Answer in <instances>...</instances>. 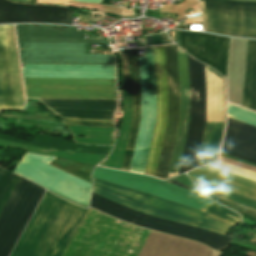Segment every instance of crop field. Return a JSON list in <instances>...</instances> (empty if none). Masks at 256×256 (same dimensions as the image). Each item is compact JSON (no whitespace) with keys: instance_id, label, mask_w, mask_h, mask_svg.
Here are the masks:
<instances>
[{"instance_id":"10","label":"crop field","mask_w":256,"mask_h":256,"mask_svg":"<svg viewBox=\"0 0 256 256\" xmlns=\"http://www.w3.org/2000/svg\"><path fill=\"white\" fill-rule=\"evenodd\" d=\"M195 61L188 56L190 123L178 174L195 167L205 124V85L203 65Z\"/></svg>"},{"instance_id":"30","label":"crop field","mask_w":256,"mask_h":256,"mask_svg":"<svg viewBox=\"0 0 256 256\" xmlns=\"http://www.w3.org/2000/svg\"><path fill=\"white\" fill-rule=\"evenodd\" d=\"M69 0H37L39 3H61Z\"/></svg>"},{"instance_id":"31","label":"crop field","mask_w":256,"mask_h":256,"mask_svg":"<svg viewBox=\"0 0 256 256\" xmlns=\"http://www.w3.org/2000/svg\"><path fill=\"white\" fill-rule=\"evenodd\" d=\"M72 12H73V10L69 9L67 24H70V23H71Z\"/></svg>"},{"instance_id":"13","label":"crop field","mask_w":256,"mask_h":256,"mask_svg":"<svg viewBox=\"0 0 256 256\" xmlns=\"http://www.w3.org/2000/svg\"><path fill=\"white\" fill-rule=\"evenodd\" d=\"M5 27H0V45L7 44ZM8 45L0 46V90L3 107H23L22 92L19 78V70L16 56V48L12 28H6ZM0 97L1 109L3 108Z\"/></svg>"},{"instance_id":"18","label":"crop field","mask_w":256,"mask_h":256,"mask_svg":"<svg viewBox=\"0 0 256 256\" xmlns=\"http://www.w3.org/2000/svg\"><path fill=\"white\" fill-rule=\"evenodd\" d=\"M189 177L256 199V182L204 166L187 174Z\"/></svg>"},{"instance_id":"24","label":"crop field","mask_w":256,"mask_h":256,"mask_svg":"<svg viewBox=\"0 0 256 256\" xmlns=\"http://www.w3.org/2000/svg\"><path fill=\"white\" fill-rule=\"evenodd\" d=\"M221 155L256 165V157L222 146Z\"/></svg>"},{"instance_id":"25","label":"crop field","mask_w":256,"mask_h":256,"mask_svg":"<svg viewBox=\"0 0 256 256\" xmlns=\"http://www.w3.org/2000/svg\"><path fill=\"white\" fill-rule=\"evenodd\" d=\"M198 189H199V188H198ZM199 190H200L201 193H203V194H205V195H207V196H209V197H211V198H213V199H215V200H217V201H219V202H222V203H225V204H227V205L233 206V207H235V208H237V209H239V210H241V211H243V212H245V213H247V214H249V215H251V216H253V217L256 218V210L246 208V207H244V206H241V205H239V204H236V203H234V202H231V201H229V200H227V199H224V198H222V197H219V196H217V195H215V194L205 192V191H203V190H201V189H199Z\"/></svg>"},{"instance_id":"27","label":"crop field","mask_w":256,"mask_h":256,"mask_svg":"<svg viewBox=\"0 0 256 256\" xmlns=\"http://www.w3.org/2000/svg\"><path fill=\"white\" fill-rule=\"evenodd\" d=\"M90 15H91V11H86V10L80 9L78 22L87 23V20L90 19Z\"/></svg>"},{"instance_id":"4","label":"crop field","mask_w":256,"mask_h":256,"mask_svg":"<svg viewBox=\"0 0 256 256\" xmlns=\"http://www.w3.org/2000/svg\"><path fill=\"white\" fill-rule=\"evenodd\" d=\"M149 233L89 208L63 256H137Z\"/></svg>"},{"instance_id":"3","label":"crop field","mask_w":256,"mask_h":256,"mask_svg":"<svg viewBox=\"0 0 256 256\" xmlns=\"http://www.w3.org/2000/svg\"><path fill=\"white\" fill-rule=\"evenodd\" d=\"M164 52L168 86V122ZM164 52L163 47L154 48L157 85V121L145 172V174L147 175H155L160 148L167 122L162 149L155 175V177L161 179H166L167 176L173 144L179 122V85L176 47L173 45L166 46L164 47Z\"/></svg>"},{"instance_id":"6","label":"crop field","mask_w":256,"mask_h":256,"mask_svg":"<svg viewBox=\"0 0 256 256\" xmlns=\"http://www.w3.org/2000/svg\"><path fill=\"white\" fill-rule=\"evenodd\" d=\"M90 206L115 218L160 232L201 242L223 252L231 238L213 232L157 219L137 211L120 206L92 193Z\"/></svg>"},{"instance_id":"23","label":"crop field","mask_w":256,"mask_h":256,"mask_svg":"<svg viewBox=\"0 0 256 256\" xmlns=\"http://www.w3.org/2000/svg\"><path fill=\"white\" fill-rule=\"evenodd\" d=\"M202 212L209 213L231 226L240 219V216L215 204L214 202L206 207L204 210H202Z\"/></svg>"},{"instance_id":"20","label":"crop field","mask_w":256,"mask_h":256,"mask_svg":"<svg viewBox=\"0 0 256 256\" xmlns=\"http://www.w3.org/2000/svg\"><path fill=\"white\" fill-rule=\"evenodd\" d=\"M223 142L256 153V127L228 118Z\"/></svg>"},{"instance_id":"11","label":"crop field","mask_w":256,"mask_h":256,"mask_svg":"<svg viewBox=\"0 0 256 256\" xmlns=\"http://www.w3.org/2000/svg\"><path fill=\"white\" fill-rule=\"evenodd\" d=\"M93 177L148 192L199 211L212 203L202 196L150 177L101 168L94 170Z\"/></svg>"},{"instance_id":"21","label":"crop field","mask_w":256,"mask_h":256,"mask_svg":"<svg viewBox=\"0 0 256 256\" xmlns=\"http://www.w3.org/2000/svg\"><path fill=\"white\" fill-rule=\"evenodd\" d=\"M242 106L256 111V41L248 40Z\"/></svg>"},{"instance_id":"5","label":"crop field","mask_w":256,"mask_h":256,"mask_svg":"<svg viewBox=\"0 0 256 256\" xmlns=\"http://www.w3.org/2000/svg\"><path fill=\"white\" fill-rule=\"evenodd\" d=\"M94 192L139 211L198 226L225 235L231 228L192 208L171 203L147 194L94 180Z\"/></svg>"},{"instance_id":"19","label":"crop field","mask_w":256,"mask_h":256,"mask_svg":"<svg viewBox=\"0 0 256 256\" xmlns=\"http://www.w3.org/2000/svg\"><path fill=\"white\" fill-rule=\"evenodd\" d=\"M131 86H132V120L121 169H129L132 152L140 121V85L137 49L129 51Z\"/></svg>"},{"instance_id":"12","label":"crop field","mask_w":256,"mask_h":256,"mask_svg":"<svg viewBox=\"0 0 256 256\" xmlns=\"http://www.w3.org/2000/svg\"><path fill=\"white\" fill-rule=\"evenodd\" d=\"M205 66V65H204ZM206 68V67H205ZM208 69V68H207ZM205 69L206 80V121L222 122V80L212 70ZM206 122L197 166L213 161L217 157L224 125V84H223V123Z\"/></svg>"},{"instance_id":"17","label":"crop field","mask_w":256,"mask_h":256,"mask_svg":"<svg viewBox=\"0 0 256 256\" xmlns=\"http://www.w3.org/2000/svg\"><path fill=\"white\" fill-rule=\"evenodd\" d=\"M177 55L180 84V122L178 126L168 177L176 175L178 172L187 127L189 123V82L187 54L177 49Z\"/></svg>"},{"instance_id":"1","label":"crop field","mask_w":256,"mask_h":256,"mask_svg":"<svg viewBox=\"0 0 256 256\" xmlns=\"http://www.w3.org/2000/svg\"><path fill=\"white\" fill-rule=\"evenodd\" d=\"M86 212L47 191L11 256H62Z\"/></svg>"},{"instance_id":"9","label":"crop field","mask_w":256,"mask_h":256,"mask_svg":"<svg viewBox=\"0 0 256 256\" xmlns=\"http://www.w3.org/2000/svg\"><path fill=\"white\" fill-rule=\"evenodd\" d=\"M27 97L116 99L115 80L23 78Z\"/></svg>"},{"instance_id":"29","label":"crop field","mask_w":256,"mask_h":256,"mask_svg":"<svg viewBox=\"0 0 256 256\" xmlns=\"http://www.w3.org/2000/svg\"><path fill=\"white\" fill-rule=\"evenodd\" d=\"M187 24H198L201 23V18L199 17H194V18H189L186 19Z\"/></svg>"},{"instance_id":"16","label":"crop field","mask_w":256,"mask_h":256,"mask_svg":"<svg viewBox=\"0 0 256 256\" xmlns=\"http://www.w3.org/2000/svg\"><path fill=\"white\" fill-rule=\"evenodd\" d=\"M60 117L111 119L116 100L39 99Z\"/></svg>"},{"instance_id":"2","label":"crop field","mask_w":256,"mask_h":256,"mask_svg":"<svg viewBox=\"0 0 256 256\" xmlns=\"http://www.w3.org/2000/svg\"><path fill=\"white\" fill-rule=\"evenodd\" d=\"M21 62L115 64L113 55L86 54V43L76 28L51 25H17Z\"/></svg>"},{"instance_id":"34","label":"crop field","mask_w":256,"mask_h":256,"mask_svg":"<svg viewBox=\"0 0 256 256\" xmlns=\"http://www.w3.org/2000/svg\"><path fill=\"white\" fill-rule=\"evenodd\" d=\"M31 2H36V0H31Z\"/></svg>"},{"instance_id":"7","label":"crop field","mask_w":256,"mask_h":256,"mask_svg":"<svg viewBox=\"0 0 256 256\" xmlns=\"http://www.w3.org/2000/svg\"><path fill=\"white\" fill-rule=\"evenodd\" d=\"M200 4L205 31L256 38V3L201 0Z\"/></svg>"},{"instance_id":"22","label":"crop field","mask_w":256,"mask_h":256,"mask_svg":"<svg viewBox=\"0 0 256 256\" xmlns=\"http://www.w3.org/2000/svg\"><path fill=\"white\" fill-rule=\"evenodd\" d=\"M18 179L19 176L0 169V212Z\"/></svg>"},{"instance_id":"33","label":"crop field","mask_w":256,"mask_h":256,"mask_svg":"<svg viewBox=\"0 0 256 256\" xmlns=\"http://www.w3.org/2000/svg\"><path fill=\"white\" fill-rule=\"evenodd\" d=\"M102 3L110 5V0H102Z\"/></svg>"},{"instance_id":"28","label":"crop field","mask_w":256,"mask_h":256,"mask_svg":"<svg viewBox=\"0 0 256 256\" xmlns=\"http://www.w3.org/2000/svg\"><path fill=\"white\" fill-rule=\"evenodd\" d=\"M159 36H160V35H159ZM159 36H158V35L152 36L153 45L166 44V43H168V42H163L161 36H160V38H161V40H160Z\"/></svg>"},{"instance_id":"32","label":"crop field","mask_w":256,"mask_h":256,"mask_svg":"<svg viewBox=\"0 0 256 256\" xmlns=\"http://www.w3.org/2000/svg\"><path fill=\"white\" fill-rule=\"evenodd\" d=\"M147 46L152 45L151 36L146 37Z\"/></svg>"},{"instance_id":"15","label":"crop field","mask_w":256,"mask_h":256,"mask_svg":"<svg viewBox=\"0 0 256 256\" xmlns=\"http://www.w3.org/2000/svg\"><path fill=\"white\" fill-rule=\"evenodd\" d=\"M68 8L21 5L0 0V23L48 22L66 24Z\"/></svg>"},{"instance_id":"14","label":"crop field","mask_w":256,"mask_h":256,"mask_svg":"<svg viewBox=\"0 0 256 256\" xmlns=\"http://www.w3.org/2000/svg\"><path fill=\"white\" fill-rule=\"evenodd\" d=\"M181 46L225 76L228 38L180 31Z\"/></svg>"},{"instance_id":"8","label":"crop field","mask_w":256,"mask_h":256,"mask_svg":"<svg viewBox=\"0 0 256 256\" xmlns=\"http://www.w3.org/2000/svg\"><path fill=\"white\" fill-rule=\"evenodd\" d=\"M44 191L20 177L0 213V256L9 255Z\"/></svg>"},{"instance_id":"26","label":"crop field","mask_w":256,"mask_h":256,"mask_svg":"<svg viewBox=\"0 0 256 256\" xmlns=\"http://www.w3.org/2000/svg\"><path fill=\"white\" fill-rule=\"evenodd\" d=\"M65 124L114 127L111 121L78 120L61 118Z\"/></svg>"}]
</instances>
